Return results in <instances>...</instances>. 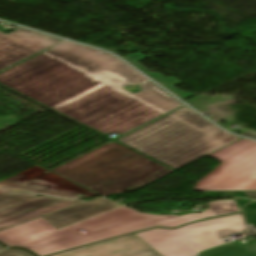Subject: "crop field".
<instances>
[{"instance_id": "3", "label": "crop field", "mask_w": 256, "mask_h": 256, "mask_svg": "<svg viewBox=\"0 0 256 256\" xmlns=\"http://www.w3.org/2000/svg\"><path fill=\"white\" fill-rule=\"evenodd\" d=\"M52 171L100 195L132 191L172 172L116 142Z\"/></svg>"}, {"instance_id": "15", "label": "crop field", "mask_w": 256, "mask_h": 256, "mask_svg": "<svg viewBox=\"0 0 256 256\" xmlns=\"http://www.w3.org/2000/svg\"><path fill=\"white\" fill-rule=\"evenodd\" d=\"M245 214H246L247 222L249 224H252V225L256 226V212L245 213Z\"/></svg>"}, {"instance_id": "11", "label": "crop field", "mask_w": 256, "mask_h": 256, "mask_svg": "<svg viewBox=\"0 0 256 256\" xmlns=\"http://www.w3.org/2000/svg\"><path fill=\"white\" fill-rule=\"evenodd\" d=\"M55 256H160L133 234Z\"/></svg>"}, {"instance_id": "7", "label": "crop field", "mask_w": 256, "mask_h": 256, "mask_svg": "<svg viewBox=\"0 0 256 256\" xmlns=\"http://www.w3.org/2000/svg\"><path fill=\"white\" fill-rule=\"evenodd\" d=\"M38 194L65 199L97 196L58 175L34 166L0 182V211Z\"/></svg>"}, {"instance_id": "12", "label": "crop field", "mask_w": 256, "mask_h": 256, "mask_svg": "<svg viewBox=\"0 0 256 256\" xmlns=\"http://www.w3.org/2000/svg\"><path fill=\"white\" fill-rule=\"evenodd\" d=\"M118 205L104 199H94L44 216L57 229L93 215L115 208Z\"/></svg>"}, {"instance_id": "8", "label": "crop field", "mask_w": 256, "mask_h": 256, "mask_svg": "<svg viewBox=\"0 0 256 256\" xmlns=\"http://www.w3.org/2000/svg\"><path fill=\"white\" fill-rule=\"evenodd\" d=\"M239 138L217 128L155 160L177 170Z\"/></svg>"}, {"instance_id": "14", "label": "crop field", "mask_w": 256, "mask_h": 256, "mask_svg": "<svg viewBox=\"0 0 256 256\" xmlns=\"http://www.w3.org/2000/svg\"><path fill=\"white\" fill-rule=\"evenodd\" d=\"M0 256H34L26 250L7 248L0 252Z\"/></svg>"}, {"instance_id": "17", "label": "crop field", "mask_w": 256, "mask_h": 256, "mask_svg": "<svg viewBox=\"0 0 256 256\" xmlns=\"http://www.w3.org/2000/svg\"><path fill=\"white\" fill-rule=\"evenodd\" d=\"M4 248L3 246L0 245V249Z\"/></svg>"}, {"instance_id": "6", "label": "crop field", "mask_w": 256, "mask_h": 256, "mask_svg": "<svg viewBox=\"0 0 256 256\" xmlns=\"http://www.w3.org/2000/svg\"><path fill=\"white\" fill-rule=\"evenodd\" d=\"M209 157L222 164L194 191H256V142L242 139Z\"/></svg>"}, {"instance_id": "4", "label": "crop field", "mask_w": 256, "mask_h": 256, "mask_svg": "<svg viewBox=\"0 0 256 256\" xmlns=\"http://www.w3.org/2000/svg\"><path fill=\"white\" fill-rule=\"evenodd\" d=\"M241 214L185 225L176 230L155 228L135 234L162 256H196L222 243L221 239L245 232Z\"/></svg>"}, {"instance_id": "13", "label": "crop field", "mask_w": 256, "mask_h": 256, "mask_svg": "<svg viewBox=\"0 0 256 256\" xmlns=\"http://www.w3.org/2000/svg\"><path fill=\"white\" fill-rule=\"evenodd\" d=\"M199 256H256V242L242 247L234 241L206 250Z\"/></svg>"}, {"instance_id": "9", "label": "crop field", "mask_w": 256, "mask_h": 256, "mask_svg": "<svg viewBox=\"0 0 256 256\" xmlns=\"http://www.w3.org/2000/svg\"><path fill=\"white\" fill-rule=\"evenodd\" d=\"M60 40L23 28L8 35L0 32V69Z\"/></svg>"}, {"instance_id": "2", "label": "crop field", "mask_w": 256, "mask_h": 256, "mask_svg": "<svg viewBox=\"0 0 256 256\" xmlns=\"http://www.w3.org/2000/svg\"><path fill=\"white\" fill-rule=\"evenodd\" d=\"M208 205L209 208L200 214L181 217L137 213L123 206L62 230H57L41 217L0 231V241L9 246L25 247L39 256H47L154 226L175 227L240 211L234 200L209 202ZM79 230L88 234L82 235Z\"/></svg>"}, {"instance_id": "5", "label": "crop field", "mask_w": 256, "mask_h": 256, "mask_svg": "<svg viewBox=\"0 0 256 256\" xmlns=\"http://www.w3.org/2000/svg\"><path fill=\"white\" fill-rule=\"evenodd\" d=\"M215 128L184 106L116 141L155 159Z\"/></svg>"}, {"instance_id": "1", "label": "crop field", "mask_w": 256, "mask_h": 256, "mask_svg": "<svg viewBox=\"0 0 256 256\" xmlns=\"http://www.w3.org/2000/svg\"><path fill=\"white\" fill-rule=\"evenodd\" d=\"M110 54L64 42L0 73V83L104 135L122 134L180 105Z\"/></svg>"}, {"instance_id": "10", "label": "crop field", "mask_w": 256, "mask_h": 256, "mask_svg": "<svg viewBox=\"0 0 256 256\" xmlns=\"http://www.w3.org/2000/svg\"><path fill=\"white\" fill-rule=\"evenodd\" d=\"M83 201L35 197L0 212V230L15 226Z\"/></svg>"}, {"instance_id": "16", "label": "crop field", "mask_w": 256, "mask_h": 256, "mask_svg": "<svg viewBox=\"0 0 256 256\" xmlns=\"http://www.w3.org/2000/svg\"><path fill=\"white\" fill-rule=\"evenodd\" d=\"M245 193L251 197H256V192H245Z\"/></svg>"}]
</instances>
